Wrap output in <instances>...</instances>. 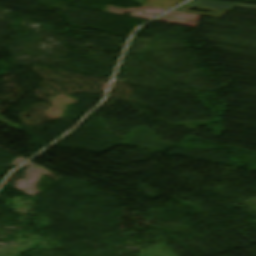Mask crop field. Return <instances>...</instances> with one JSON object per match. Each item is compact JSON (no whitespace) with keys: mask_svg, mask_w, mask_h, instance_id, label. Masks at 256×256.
Instances as JSON below:
<instances>
[{"mask_svg":"<svg viewBox=\"0 0 256 256\" xmlns=\"http://www.w3.org/2000/svg\"><path fill=\"white\" fill-rule=\"evenodd\" d=\"M134 1H136L137 3H139L141 5H143L146 2L145 0H134Z\"/></svg>","mask_w":256,"mask_h":256,"instance_id":"obj_2","label":"crop field"},{"mask_svg":"<svg viewBox=\"0 0 256 256\" xmlns=\"http://www.w3.org/2000/svg\"><path fill=\"white\" fill-rule=\"evenodd\" d=\"M185 5L217 8V9H225V10H230L234 6L256 8V6H250V5L230 4V3H222V2H214V1H206V0H192L191 2Z\"/></svg>","mask_w":256,"mask_h":256,"instance_id":"obj_1","label":"crop field"}]
</instances>
